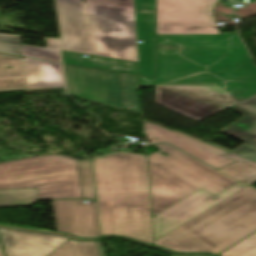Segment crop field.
Masks as SVG:
<instances>
[{"instance_id":"crop-field-6","label":"crop field","mask_w":256,"mask_h":256,"mask_svg":"<svg viewBox=\"0 0 256 256\" xmlns=\"http://www.w3.org/2000/svg\"><path fill=\"white\" fill-rule=\"evenodd\" d=\"M37 188L39 199L83 198L79 164L64 156L0 164V189Z\"/></svg>"},{"instance_id":"crop-field-26","label":"crop field","mask_w":256,"mask_h":256,"mask_svg":"<svg viewBox=\"0 0 256 256\" xmlns=\"http://www.w3.org/2000/svg\"><path fill=\"white\" fill-rule=\"evenodd\" d=\"M232 153L247 158L252 161H256V147L251 146L247 143L239 146L237 149L232 151Z\"/></svg>"},{"instance_id":"crop-field-5","label":"crop field","mask_w":256,"mask_h":256,"mask_svg":"<svg viewBox=\"0 0 256 256\" xmlns=\"http://www.w3.org/2000/svg\"><path fill=\"white\" fill-rule=\"evenodd\" d=\"M155 146L170 156H148L153 216L200 188L216 196L238 183L167 144Z\"/></svg>"},{"instance_id":"crop-field-22","label":"crop field","mask_w":256,"mask_h":256,"mask_svg":"<svg viewBox=\"0 0 256 256\" xmlns=\"http://www.w3.org/2000/svg\"><path fill=\"white\" fill-rule=\"evenodd\" d=\"M79 164L84 198L96 199L91 160L79 161Z\"/></svg>"},{"instance_id":"crop-field-21","label":"crop field","mask_w":256,"mask_h":256,"mask_svg":"<svg viewBox=\"0 0 256 256\" xmlns=\"http://www.w3.org/2000/svg\"><path fill=\"white\" fill-rule=\"evenodd\" d=\"M126 109L141 113L137 76L122 73Z\"/></svg>"},{"instance_id":"crop-field-20","label":"crop field","mask_w":256,"mask_h":256,"mask_svg":"<svg viewBox=\"0 0 256 256\" xmlns=\"http://www.w3.org/2000/svg\"><path fill=\"white\" fill-rule=\"evenodd\" d=\"M23 56L60 61L59 40L47 39V48L22 45Z\"/></svg>"},{"instance_id":"crop-field-17","label":"crop field","mask_w":256,"mask_h":256,"mask_svg":"<svg viewBox=\"0 0 256 256\" xmlns=\"http://www.w3.org/2000/svg\"><path fill=\"white\" fill-rule=\"evenodd\" d=\"M10 89H26L22 58L0 54V90Z\"/></svg>"},{"instance_id":"crop-field-30","label":"crop field","mask_w":256,"mask_h":256,"mask_svg":"<svg viewBox=\"0 0 256 256\" xmlns=\"http://www.w3.org/2000/svg\"><path fill=\"white\" fill-rule=\"evenodd\" d=\"M210 144H212V145H214V146H216V147H219V148H221V149H224V150H226V151H229V152H231L230 150H228V149H225V148H223V147H220V146H218V145H216V144H214V143H212V142H210Z\"/></svg>"},{"instance_id":"crop-field-15","label":"crop field","mask_w":256,"mask_h":256,"mask_svg":"<svg viewBox=\"0 0 256 256\" xmlns=\"http://www.w3.org/2000/svg\"><path fill=\"white\" fill-rule=\"evenodd\" d=\"M231 109L246 116L223 132L256 146V95L231 107Z\"/></svg>"},{"instance_id":"crop-field-31","label":"crop field","mask_w":256,"mask_h":256,"mask_svg":"<svg viewBox=\"0 0 256 256\" xmlns=\"http://www.w3.org/2000/svg\"><path fill=\"white\" fill-rule=\"evenodd\" d=\"M86 15V13H85ZM86 20H87V15H86ZM87 25H88V21H87ZM88 31H89V26H88ZM89 37H90V32H89ZM90 43H91V37H90ZM91 48H92V43H91ZM92 54H93V50H92Z\"/></svg>"},{"instance_id":"crop-field-13","label":"crop field","mask_w":256,"mask_h":256,"mask_svg":"<svg viewBox=\"0 0 256 256\" xmlns=\"http://www.w3.org/2000/svg\"><path fill=\"white\" fill-rule=\"evenodd\" d=\"M141 75L155 77L154 0H135Z\"/></svg>"},{"instance_id":"crop-field-18","label":"crop field","mask_w":256,"mask_h":256,"mask_svg":"<svg viewBox=\"0 0 256 256\" xmlns=\"http://www.w3.org/2000/svg\"><path fill=\"white\" fill-rule=\"evenodd\" d=\"M226 157L238 162L220 169L221 171L248 185L256 181V162L249 161L232 153H229Z\"/></svg>"},{"instance_id":"crop-field-1","label":"crop field","mask_w":256,"mask_h":256,"mask_svg":"<svg viewBox=\"0 0 256 256\" xmlns=\"http://www.w3.org/2000/svg\"><path fill=\"white\" fill-rule=\"evenodd\" d=\"M218 0H157V82H216L238 102L256 94V66L239 34H220L211 11ZM176 48L163 51L159 45Z\"/></svg>"},{"instance_id":"crop-field-8","label":"crop field","mask_w":256,"mask_h":256,"mask_svg":"<svg viewBox=\"0 0 256 256\" xmlns=\"http://www.w3.org/2000/svg\"><path fill=\"white\" fill-rule=\"evenodd\" d=\"M70 94L125 109L121 73L64 65Z\"/></svg>"},{"instance_id":"crop-field-7","label":"crop field","mask_w":256,"mask_h":256,"mask_svg":"<svg viewBox=\"0 0 256 256\" xmlns=\"http://www.w3.org/2000/svg\"><path fill=\"white\" fill-rule=\"evenodd\" d=\"M156 102L196 121L238 103L215 83H157Z\"/></svg>"},{"instance_id":"crop-field-4","label":"crop field","mask_w":256,"mask_h":256,"mask_svg":"<svg viewBox=\"0 0 256 256\" xmlns=\"http://www.w3.org/2000/svg\"><path fill=\"white\" fill-rule=\"evenodd\" d=\"M255 231L256 190L247 186L155 245L179 253L219 254Z\"/></svg>"},{"instance_id":"crop-field-32","label":"crop field","mask_w":256,"mask_h":256,"mask_svg":"<svg viewBox=\"0 0 256 256\" xmlns=\"http://www.w3.org/2000/svg\"><path fill=\"white\" fill-rule=\"evenodd\" d=\"M0 256H4L3 253H0Z\"/></svg>"},{"instance_id":"crop-field-19","label":"crop field","mask_w":256,"mask_h":256,"mask_svg":"<svg viewBox=\"0 0 256 256\" xmlns=\"http://www.w3.org/2000/svg\"><path fill=\"white\" fill-rule=\"evenodd\" d=\"M36 202V189L0 190V207L32 206Z\"/></svg>"},{"instance_id":"crop-field-10","label":"crop field","mask_w":256,"mask_h":256,"mask_svg":"<svg viewBox=\"0 0 256 256\" xmlns=\"http://www.w3.org/2000/svg\"><path fill=\"white\" fill-rule=\"evenodd\" d=\"M58 231L82 238L100 235L96 201H52Z\"/></svg>"},{"instance_id":"crop-field-9","label":"crop field","mask_w":256,"mask_h":256,"mask_svg":"<svg viewBox=\"0 0 256 256\" xmlns=\"http://www.w3.org/2000/svg\"><path fill=\"white\" fill-rule=\"evenodd\" d=\"M246 185L237 184L218 196L200 190L153 217L155 241L178 226L217 205Z\"/></svg>"},{"instance_id":"crop-field-11","label":"crop field","mask_w":256,"mask_h":256,"mask_svg":"<svg viewBox=\"0 0 256 256\" xmlns=\"http://www.w3.org/2000/svg\"><path fill=\"white\" fill-rule=\"evenodd\" d=\"M148 139L152 143H170L204 162L220 169L236 161L224 157L228 152L188 137L178 131H171L144 120Z\"/></svg>"},{"instance_id":"crop-field-33","label":"crop field","mask_w":256,"mask_h":256,"mask_svg":"<svg viewBox=\"0 0 256 256\" xmlns=\"http://www.w3.org/2000/svg\"><path fill=\"white\" fill-rule=\"evenodd\" d=\"M2 250H1V246H0V252H1Z\"/></svg>"},{"instance_id":"crop-field-14","label":"crop field","mask_w":256,"mask_h":256,"mask_svg":"<svg viewBox=\"0 0 256 256\" xmlns=\"http://www.w3.org/2000/svg\"><path fill=\"white\" fill-rule=\"evenodd\" d=\"M27 89L65 87L62 65L23 58Z\"/></svg>"},{"instance_id":"crop-field-29","label":"crop field","mask_w":256,"mask_h":256,"mask_svg":"<svg viewBox=\"0 0 256 256\" xmlns=\"http://www.w3.org/2000/svg\"><path fill=\"white\" fill-rule=\"evenodd\" d=\"M97 152H99V153H101V154H107V153H110V152H115V151H106V150H99V151H97Z\"/></svg>"},{"instance_id":"crop-field-23","label":"crop field","mask_w":256,"mask_h":256,"mask_svg":"<svg viewBox=\"0 0 256 256\" xmlns=\"http://www.w3.org/2000/svg\"><path fill=\"white\" fill-rule=\"evenodd\" d=\"M220 256H256V234Z\"/></svg>"},{"instance_id":"crop-field-3","label":"crop field","mask_w":256,"mask_h":256,"mask_svg":"<svg viewBox=\"0 0 256 256\" xmlns=\"http://www.w3.org/2000/svg\"><path fill=\"white\" fill-rule=\"evenodd\" d=\"M94 55L139 62L134 0H85ZM62 50L91 54L82 0H57Z\"/></svg>"},{"instance_id":"crop-field-28","label":"crop field","mask_w":256,"mask_h":256,"mask_svg":"<svg viewBox=\"0 0 256 256\" xmlns=\"http://www.w3.org/2000/svg\"><path fill=\"white\" fill-rule=\"evenodd\" d=\"M96 242V244H97V247H98V250H99V252H100V255L101 256H105L104 255V252H103V248H102V245H101V242L100 241H95ZM95 244V245H96Z\"/></svg>"},{"instance_id":"crop-field-16","label":"crop field","mask_w":256,"mask_h":256,"mask_svg":"<svg viewBox=\"0 0 256 256\" xmlns=\"http://www.w3.org/2000/svg\"><path fill=\"white\" fill-rule=\"evenodd\" d=\"M64 63L111 69L140 75L139 63L98 56L81 58L78 54L62 52Z\"/></svg>"},{"instance_id":"crop-field-2","label":"crop field","mask_w":256,"mask_h":256,"mask_svg":"<svg viewBox=\"0 0 256 256\" xmlns=\"http://www.w3.org/2000/svg\"><path fill=\"white\" fill-rule=\"evenodd\" d=\"M93 164L101 235L154 245L147 157L116 153Z\"/></svg>"},{"instance_id":"crop-field-24","label":"crop field","mask_w":256,"mask_h":256,"mask_svg":"<svg viewBox=\"0 0 256 256\" xmlns=\"http://www.w3.org/2000/svg\"><path fill=\"white\" fill-rule=\"evenodd\" d=\"M0 53L22 56L20 36L0 35Z\"/></svg>"},{"instance_id":"crop-field-12","label":"crop field","mask_w":256,"mask_h":256,"mask_svg":"<svg viewBox=\"0 0 256 256\" xmlns=\"http://www.w3.org/2000/svg\"><path fill=\"white\" fill-rule=\"evenodd\" d=\"M6 256H48L68 240V237L30 231L1 229Z\"/></svg>"},{"instance_id":"crop-field-27","label":"crop field","mask_w":256,"mask_h":256,"mask_svg":"<svg viewBox=\"0 0 256 256\" xmlns=\"http://www.w3.org/2000/svg\"><path fill=\"white\" fill-rule=\"evenodd\" d=\"M50 256H75L71 242H67L65 245H63L57 251L52 253Z\"/></svg>"},{"instance_id":"crop-field-25","label":"crop field","mask_w":256,"mask_h":256,"mask_svg":"<svg viewBox=\"0 0 256 256\" xmlns=\"http://www.w3.org/2000/svg\"><path fill=\"white\" fill-rule=\"evenodd\" d=\"M76 256H100L95 242H78L71 240Z\"/></svg>"}]
</instances>
